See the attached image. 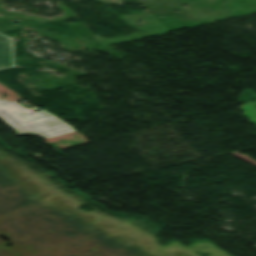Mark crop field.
<instances>
[{
    "label": "crop field",
    "mask_w": 256,
    "mask_h": 256,
    "mask_svg": "<svg viewBox=\"0 0 256 256\" xmlns=\"http://www.w3.org/2000/svg\"><path fill=\"white\" fill-rule=\"evenodd\" d=\"M0 110H4L11 118L18 122L29 133H26L14 121H12L3 111H0V118L7 123L18 134L34 133L42 138H49L59 134L67 133L75 130L68 124L64 123L55 116L42 110L36 113L28 114V119L21 120L14 113L26 111L12 103L0 102Z\"/></svg>",
    "instance_id": "8a807250"
},
{
    "label": "crop field",
    "mask_w": 256,
    "mask_h": 256,
    "mask_svg": "<svg viewBox=\"0 0 256 256\" xmlns=\"http://www.w3.org/2000/svg\"><path fill=\"white\" fill-rule=\"evenodd\" d=\"M11 65V42L0 35V68Z\"/></svg>",
    "instance_id": "ac0d7876"
},
{
    "label": "crop field",
    "mask_w": 256,
    "mask_h": 256,
    "mask_svg": "<svg viewBox=\"0 0 256 256\" xmlns=\"http://www.w3.org/2000/svg\"><path fill=\"white\" fill-rule=\"evenodd\" d=\"M27 113H32L30 111L22 112V113H17L16 115L19 116L21 119L23 118H28L25 114Z\"/></svg>",
    "instance_id": "34b2d1b8"
}]
</instances>
